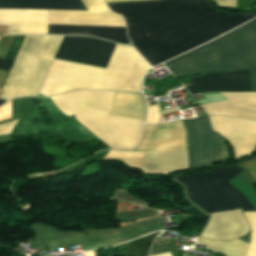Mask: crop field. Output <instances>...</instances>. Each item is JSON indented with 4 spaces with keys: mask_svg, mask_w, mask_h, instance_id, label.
I'll return each mask as SVG.
<instances>
[{
    "mask_svg": "<svg viewBox=\"0 0 256 256\" xmlns=\"http://www.w3.org/2000/svg\"><path fill=\"white\" fill-rule=\"evenodd\" d=\"M121 13L134 48L156 66L254 17L215 11L205 0H156L108 4Z\"/></svg>",
    "mask_w": 256,
    "mask_h": 256,
    "instance_id": "8a807250",
    "label": "crop field"
},
{
    "mask_svg": "<svg viewBox=\"0 0 256 256\" xmlns=\"http://www.w3.org/2000/svg\"><path fill=\"white\" fill-rule=\"evenodd\" d=\"M244 170L233 165L219 167L195 175L175 177L186 187L189 200L201 210L211 213L241 208L256 211L249 200L227 181ZM232 192L236 199L230 192ZM249 226L239 210L213 213L201 236L213 239H234L247 233Z\"/></svg>",
    "mask_w": 256,
    "mask_h": 256,
    "instance_id": "ac0d7876",
    "label": "crop field"
},
{
    "mask_svg": "<svg viewBox=\"0 0 256 256\" xmlns=\"http://www.w3.org/2000/svg\"><path fill=\"white\" fill-rule=\"evenodd\" d=\"M149 65L132 48L117 44L106 69L54 59L37 96H52L80 88L141 91Z\"/></svg>",
    "mask_w": 256,
    "mask_h": 256,
    "instance_id": "34b2d1b8",
    "label": "crop field"
},
{
    "mask_svg": "<svg viewBox=\"0 0 256 256\" xmlns=\"http://www.w3.org/2000/svg\"><path fill=\"white\" fill-rule=\"evenodd\" d=\"M177 77L250 69L256 91V19L165 63Z\"/></svg>",
    "mask_w": 256,
    "mask_h": 256,
    "instance_id": "412701ff",
    "label": "crop field"
},
{
    "mask_svg": "<svg viewBox=\"0 0 256 256\" xmlns=\"http://www.w3.org/2000/svg\"><path fill=\"white\" fill-rule=\"evenodd\" d=\"M115 92L80 90L52 97L67 115L73 116L111 149H131L141 135L144 120L109 115Z\"/></svg>",
    "mask_w": 256,
    "mask_h": 256,
    "instance_id": "f4fd0767",
    "label": "crop field"
},
{
    "mask_svg": "<svg viewBox=\"0 0 256 256\" xmlns=\"http://www.w3.org/2000/svg\"><path fill=\"white\" fill-rule=\"evenodd\" d=\"M63 36H26L0 98L37 95Z\"/></svg>",
    "mask_w": 256,
    "mask_h": 256,
    "instance_id": "dd49c442",
    "label": "crop field"
},
{
    "mask_svg": "<svg viewBox=\"0 0 256 256\" xmlns=\"http://www.w3.org/2000/svg\"><path fill=\"white\" fill-rule=\"evenodd\" d=\"M41 248L81 245L82 250L107 248L157 230H163L160 218L146 219L118 229H89L84 232H60L44 224L30 225Z\"/></svg>",
    "mask_w": 256,
    "mask_h": 256,
    "instance_id": "e52e79f7",
    "label": "crop field"
},
{
    "mask_svg": "<svg viewBox=\"0 0 256 256\" xmlns=\"http://www.w3.org/2000/svg\"><path fill=\"white\" fill-rule=\"evenodd\" d=\"M188 140L189 168H203L230 158L226 143L213 132L209 118L184 120Z\"/></svg>",
    "mask_w": 256,
    "mask_h": 256,
    "instance_id": "d8731c3e",
    "label": "crop field"
},
{
    "mask_svg": "<svg viewBox=\"0 0 256 256\" xmlns=\"http://www.w3.org/2000/svg\"><path fill=\"white\" fill-rule=\"evenodd\" d=\"M115 45L90 37L64 36L55 57L105 67Z\"/></svg>",
    "mask_w": 256,
    "mask_h": 256,
    "instance_id": "5a996713",
    "label": "crop field"
},
{
    "mask_svg": "<svg viewBox=\"0 0 256 256\" xmlns=\"http://www.w3.org/2000/svg\"><path fill=\"white\" fill-rule=\"evenodd\" d=\"M214 131L219 132L234 147L235 158L256 150V121L222 116H209Z\"/></svg>",
    "mask_w": 256,
    "mask_h": 256,
    "instance_id": "3316defc",
    "label": "crop field"
},
{
    "mask_svg": "<svg viewBox=\"0 0 256 256\" xmlns=\"http://www.w3.org/2000/svg\"><path fill=\"white\" fill-rule=\"evenodd\" d=\"M133 150L187 151L182 119L161 125H145L142 140Z\"/></svg>",
    "mask_w": 256,
    "mask_h": 256,
    "instance_id": "28ad6ade",
    "label": "crop field"
},
{
    "mask_svg": "<svg viewBox=\"0 0 256 256\" xmlns=\"http://www.w3.org/2000/svg\"><path fill=\"white\" fill-rule=\"evenodd\" d=\"M189 78L191 94L212 91H251L249 70L211 73Z\"/></svg>",
    "mask_w": 256,
    "mask_h": 256,
    "instance_id": "d1516ede",
    "label": "crop field"
},
{
    "mask_svg": "<svg viewBox=\"0 0 256 256\" xmlns=\"http://www.w3.org/2000/svg\"><path fill=\"white\" fill-rule=\"evenodd\" d=\"M48 10L0 9V24L8 25V34L47 33Z\"/></svg>",
    "mask_w": 256,
    "mask_h": 256,
    "instance_id": "22f410ed",
    "label": "crop field"
},
{
    "mask_svg": "<svg viewBox=\"0 0 256 256\" xmlns=\"http://www.w3.org/2000/svg\"><path fill=\"white\" fill-rule=\"evenodd\" d=\"M228 100L201 105L208 115L256 120V93H221Z\"/></svg>",
    "mask_w": 256,
    "mask_h": 256,
    "instance_id": "cbeb9de0",
    "label": "crop field"
},
{
    "mask_svg": "<svg viewBox=\"0 0 256 256\" xmlns=\"http://www.w3.org/2000/svg\"><path fill=\"white\" fill-rule=\"evenodd\" d=\"M48 24L125 27L114 13L49 10Z\"/></svg>",
    "mask_w": 256,
    "mask_h": 256,
    "instance_id": "5142ce71",
    "label": "crop field"
},
{
    "mask_svg": "<svg viewBox=\"0 0 256 256\" xmlns=\"http://www.w3.org/2000/svg\"><path fill=\"white\" fill-rule=\"evenodd\" d=\"M187 152L146 151L141 170L144 173L170 174L188 169Z\"/></svg>",
    "mask_w": 256,
    "mask_h": 256,
    "instance_id": "d9b57169",
    "label": "crop field"
},
{
    "mask_svg": "<svg viewBox=\"0 0 256 256\" xmlns=\"http://www.w3.org/2000/svg\"><path fill=\"white\" fill-rule=\"evenodd\" d=\"M48 34L91 35L115 42L129 43L126 28L48 25Z\"/></svg>",
    "mask_w": 256,
    "mask_h": 256,
    "instance_id": "733c2abd",
    "label": "crop field"
},
{
    "mask_svg": "<svg viewBox=\"0 0 256 256\" xmlns=\"http://www.w3.org/2000/svg\"><path fill=\"white\" fill-rule=\"evenodd\" d=\"M110 114L144 119L145 103L143 95L116 92Z\"/></svg>",
    "mask_w": 256,
    "mask_h": 256,
    "instance_id": "4a817a6b",
    "label": "crop field"
},
{
    "mask_svg": "<svg viewBox=\"0 0 256 256\" xmlns=\"http://www.w3.org/2000/svg\"><path fill=\"white\" fill-rule=\"evenodd\" d=\"M0 8H37L85 11L79 0H0Z\"/></svg>",
    "mask_w": 256,
    "mask_h": 256,
    "instance_id": "bc2a9ffb",
    "label": "crop field"
},
{
    "mask_svg": "<svg viewBox=\"0 0 256 256\" xmlns=\"http://www.w3.org/2000/svg\"><path fill=\"white\" fill-rule=\"evenodd\" d=\"M197 242L204 244L227 256H245L249 244L239 239L232 241H215L210 239L198 238Z\"/></svg>",
    "mask_w": 256,
    "mask_h": 256,
    "instance_id": "214f88e0",
    "label": "crop field"
},
{
    "mask_svg": "<svg viewBox=\"0 0 256 256\" xmlns=\"http://www.w3.org/2000/svg\"><path fill=\"white\" fill-rule=\"evenodd\" d=\"M158 234L154 233L125 245L124 256H148L149 248Z\"/></svg>",
    "mask_w": 256,
    "mask_h": 256,
    "instance_id": "92a150f3",
    "label": "crop field"
},
{
    "mask_svg": "<svg viewBox=\"0 0 256 256\" xmlns=\"http://www.w3.org/2000/svg\"><path fill=\"white\" fill-rule=\"evenodd\" d=\"M145 151L137 152H121V151H110L104 159H119L131 167L141 166L142 159Z\"/></svg>",
    "mask_w": 256,
    "mask_h": 256,
    "instance_id": "dafd665d",
    "label": "crop field"
},
{
    "mask_svg": "<svg viewBox=\"0 0 256 256\" xmlns=\"http://www.w3.org/2000/svg\"><path fill=\"white\" fill-rule=\"evenodd\" d=\"M23 38H24V36H15V38L9 48V51L5 57L6 59L13 61ZM6 59L0 58V69L8 71L12 64V61H9Z\"/></svg>",
    "mask_w": 256,
    "mask_h": 256,
    "instance_id": "00972430",
    "label": "crop field"
},
{
    "mask_svg": "<svg viewBox=\"0 0 256 256\" xmlns=\"http://www.w3.org/2000/svg\"><path fill=\"white\" fill-rule=\"evenodd\" d=\"M251 226V243L246 256H256V212H244Z\"/></svg>",
    "mask_w": 256,
    "mask_h": 256,
    "instance_id": "a9b5d70f",
    "label": "crop field"
},
{
    "mask_svg": "<svg viewBox=\"0 0 256 256\" xmlns=\"http://www.w3.org/2000/svg\"><path fill=\"white\" fill-rule=\"evenodd\" d=\"M157 217V213L150 209L118 213L117 220Z\"/></svg>",
    "mask_w": 256,
    "mask_h": 256,
    "instance_id": "4177f3b9",
    "label": "crop field"
},
{
    "mask_svg": "<svg viewBox=\"0 0 256 256\" xmlns=\"http://www.w3.org/2000/svg\"><path fill=\"white\" fill-rule=\"evenodd\" d=\"M112 199L126 201V202H132V203H137V204H142V205H148L149 206L148 202L132 196L129 193V191L120 190V189L116 190V192H115V194H114Z\"/></svg>",
    "mask_w": 256,
    "mask_h": 256,
    "instance_id": "730fd06b",
    "label": "crop field"
},
{
    "mask_svg": "<svg viewBox=\"0 0 256 256\" xmlns=\"http://www.w3.org/2000/svg\"><path fill=\"white\" fill-rule=\"evenodd\" d=\"M87 11L110 12L103 0H81Z\"/></svg>",
    "mask_w": 256,
    "mask_h": 256,
    "instance_id": "eef30255",
    "label": "crop field"
},
{
    "mask_svg": "<svg viewBox=\"0 0 256 256\" xmlns=\"http://www.w3.org/2000/svg\"><path fill=\"white\" fill-rule=\"evenodd\" d=\"M248 170L251 176L256 180V157L252 160L238 163Z\"/></svg>",
    "mask_w": 256,
    "mask_h": 256,
    "instance_id": "ae1a2a85",
    "label": "crop field"
},
{
    "mask_svg": "<svg viewBox=\"0 0 256 256\" xmlns=\"http://www.w3.org/2000/svg\"><path fill=\"white\" fill-rule=\"evenodd\" d=\"M11 118V100L0 107V121Z\"/></svg>",
    "mask_w": 256,
    "mask_h": 256,
    "instance_id": "d3111659",
    "label": "crop field"
},
{
    "mask_svg": "<svg viewBox=\"0 0 256 256\" xmlns=\"http://www.w3.org/2000/svg\"><path fill=\"white\" fill-rule=\"evenodd\" d=\"M17 121L18 120H15V121L0 125V135L9 134L11 132V130L13 129V127L15 126Z\"/></svg>",
    "mask_w": 256,
    "mask_h": 256,
    "instance_id": "750c4746",
    "label": "crop field"
},
{
    "mask_svg": "<svg viewBox=\"0 0 256 256\" xmlns=\"http://www.w3.org/2000/svg\"><path fill=\"white\" fill-rule=\"evenodd\" d=\"M219 6H236V0H216Z\"/></svg>",
    "mask_w": 256,
    "mask_h": 256,
    "instance_id": "bd1437ed",
    "label": "crop field"
},
{
    "mask_svg": "<svg viewBox=\"0 0 256 256\" xmlns=\"http://www.w3.org/2000/svg\"><path fill=\"white\" fill-rule=\"evenodd\" d=\"M161 111H162V114L165 115V114L176 112L178 111V109L176 107H172V108L163 109Z\"/></svg>",
    "mask_w": 256,
    "mask_h": 256,
    "instance_id": "1d83c4d3",
    "label": "crop field"
},
{
    "mask_svg": "<svg viewBox=\"0 0 256 256\" xmlns=\"http://www.w3.org/2000/svg\"><path fill=\"white\" fill-rule=\"evenodd\" d=\"M106 3H114V2H128V1H142V0H105Z\"/></svg>",
    "mask_w": 256,
    "mask_h": 256,
    "instance_id": "120bbe31",
    "label": "crop field"
},
{
    "mask_svg": "<svg viewBox=\"0 0 256 256\" xmlns=\"http://www.w3.org/2000/svg\"><path fill=\"white\" fill-rule=\"evenodd\" d=\"M158 256H171L170 253L167 254H162V255H158Z\"/></svg>",
    "mask_w": 256,
    "mask_h": 256,
    "instance_id": "d32e631a",
    "label": "crop field"
},
{
    "mask_svg": "<svg viewBox=\"0 0 256 256\" xmlns=\"http://www.w3.org/2000/svg\"><path fill=\"white\" fill-rule=\"evenodd\" d=\"M4 102H6V101L0 100V105H1L2 103H4Z\"/></svg>",
    "mask_w": 256,
    "mask_h": 256,
    "instance_id": "5866460e",
    "label": "crop field"
},
{
    "mask_svg": "<svg viewBox=\"0 0 256 256\" xmlns=\"http://www.w3.org/2000/svg\"><path fill=\"white\" fill-rule=\"evenodd\" d=\"M182 256H186V255H182Z\"/></svg>",
    "mask_w": 256,
    "mask_h": 256,
    "instance_id": "028f5c9d",
    "label": "crop field"
},
{
    "mask_svg": "<svg viewBox=\"0 0 256 256\" xmlns=\"http://www.w3.org/2000/svg\"><path fill=\"white\" fill-rule=\"evenodd\" d=\"M210 1H212V0H210Z\"/></svg>",
    "mask_w": 256,
    "mask_h": 256,
    "instance_id": "e1f06a70",
    "label": "crop field"
}]
</instances>
